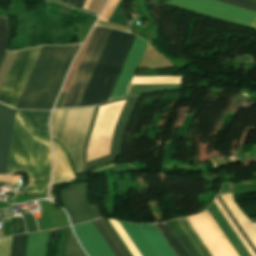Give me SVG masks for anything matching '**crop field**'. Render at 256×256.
Returning a JSON list of instances; mask_svg holds the SVG:
<instances>
[{
  "label": "crop field",
  "instance_id": "1",
  "mask_svg": "<svg viewBox=\"0 0 256 256\" xmlns=\"http://www.w3.org/2000/svg\"><path fill=\"white\" fill-rule=\"evenodd\" d=\"M134 35L111 30L78 106L105 102L128 53ZM147 43L135 37L107 101L125 96Z\"/></svg>",
  "mask_w": 256,
  "mask_h": 256
},
{
  "label": "crop field",
  "instance_id": "2",
  "mask_svg": "<svg viewBox=\"0 0 256 256\" xmlns=\"http://www.w3.org/2000/svg\"><path fill=\"white\" fill-rule=\"evenodd\" d=\"M79 45L43 46L15 108L51 110Z\"/></svg>",
  "mask_w": 256,
  "mask_h": 256
},
{
  "label": "crop field",
  "instance_id": "3",
  "mask_svg": "<svg viewBox=\"0 0 256 256\" xmlns=\"http://www.w3.org/2000/svg\"><path fill=\"white\" fill-rule=\"evenodd\" d=\"M24 170L31 183L19 194L41 193L50 178L51 150L49 140L17 113L8 174Z\"/></svg>",
  "mask_w": 256,
  "mask_h": 256
},
{
  "label": "crop field",
  "instance_id": "4",
  "mask_svg": "<svg viewBox=\"0 0 256 256\" xmlns=\"http://www.w3.org/2000/svg\"><path fill=\"white\" fill-rule=\"evenodd\" d=\"M94 107L54 109L51 118L52 137L66 149L75 172L82 170L83 146Z\"/></svg>",
  "mask_w": 256,
  "mask_h": 256
},
{
  "label": "crop field",
  "instance_id": "5",
  "mask_svg": "<svg viewBox=\"0 0 256 256\" xmlns=\"http://www.w3.org/2000/svg\"><path fill=\"white\" fill-rule=\"evenodd\" d=\"M110 30L95 27L60 108L78 105Z\"/></svg>",
  "mask_w": 256,
  "mask_h": 256
},
{
  "label": "crop field",
  "instance_id": "6",
  "mask_svg": "<svg viewBox=\"0 0 256 256\" xmlns=\"http://www.w3.org/2000/svg\"><path fill=\"white\" fill-rule=\"evenodd\" d=\"M40 48L17 52L0 90V102L15 107Z\"/></svg>",
  "mask_w": 256,
  "mask_h": 256
},
{
  "label": "crop field",
  "instance_id": "7",
  "mask_svg": "<svg viewBox=\"0 0 256 256\" xmlns=\"http://www.w3.org/2000/svg\"><path fill=\"white\" fill-rule=\"evenodd\" d=\"M167 3L254 27L256 12L214 0H169Z\"/></svg>",
  "mask_w": 256,
  "mask_h": 256
},
{
  "label": "crop field",
  "instance_id": "8",
  "mask_svg": "<svg viewBox=\"0 0 256 256\" xmlns=\"http://www.w3.org/2000/svg\"><path fill=\"white\" fill-rule=\"evenodd\" d=\"M119 223L142 256H175L154 224Z\"/></svg>",
  "mask_w": 256,
  "mask_h": 256
},
{
  "label": "crop field",
  "instance_id": "9",
  "mask_svg": "<svg viewBox=\"0 0 256 256\" xmlns=\"http://www.w3.org/2000/svg\"><path fill=\"white\" fill-rule=\"evenodd\" d=\"M140 97L141 96L111 101V102H116V101L127 100V102L124 106V109L121 113V116H120V118L117 122V125L114 129V133H113V137H112V141H111L110 155L86 162L87 146H88V142H89L91 132H92V129H93V125H94V122H95V118H96V115H97V112H98V108L101 105L108 104V103H111V102H107V103L97 105L96 110H95V114H94V117H93V120H92V123H91V127H90V130H89L87 139H86V143H85V146H84V168H83V170L86 169V168L92 167L94 165L100 164L102 162L113 160L115 157L122 155V145H123V138H124V135H125V131H126L128 122L130 120V117H131V115H132Z\"/></svg>",
  "mask_w": 256,
  "mask_h": 256
},
{
  "label": "crop field",
  "instance_id": "10",
  "mask_svg": "<svg viewBox=\"0 0 256 256\" xmlns=\"http://www.w3.org/2000/svg\"><path fill=\"white\" fill-rule=\"evenodd\" d=\"M62 193L73 224L95 219L89 207L86 184L69 187Z\"/></svg>",
  "mask_w": 256,
  "mask_h": 256
},
{
  "label": "crop field",
  "instance_id": "11",
  "mask_svg": "<svg viewBox=\"0 0 256 256\" xmlns=\"http://www.w3.org/2000/svg\"><path fill=\"white\" fill-rule=\"evenodd\" d=\"M73 228L90 256H114L91 222L76 225Z\"/></svg>",
  "mask_w": 256,
  "mask_h": 256
},
{
  "label": "crop field",
  "instance_id": "12",
  "mask_svg": "<svg viewBox=\"0 0 256 256\" xmlns=\"http://www.w3.org/2000/svg\"><path fill=\"white\" fill-rule=\"evenodd\" d=\"M15 112L0 105V173L6 174Z\"/></svg>",
  "mask_w": 256,
  "mask_h": 256
},
{
  "label": "crop field",
  "instance_id": "13",
  "mask_svg": "<svg viewBox=\"0 0 256 256\" xmlns=\"http://www.w3.org/2000/svg\"><path fill=\"white\" fill-rule=\"evenodd\" d=\"M212 204V203H211ZM210 215L213 217L217 225L220 227L224 235L227 237L233 248L236 250L239 256H250L245 247L242 245L234 231L231 229L221 212L216 205L213 204L207 209Z\"/></svg>",
  "mask_w": 256,
  "mask_h": 256
},
{
  "label": "crop field",
  "instance_id": "14",
  "mask_svg": "<svg viewBox=\"0 0 256 256\" xmlns=\"http://www.w3.org/2000/svg\"><path fill=\"white\" fill-rule=\"evenodd\" d=\"M53 149L55 159V171L52 184H55L66 181L74 177V175L71 170L67 155L62 147L57 142H53Z\"/></svg>",
  "mask_w": 256,
  "mask_h": 256
},
{
  "label": "crop field",
  "instance_id": "15",
  "mask_svg": "<svg viewBox=\"0 0 256 256\" xmlns=\"http://www.w3.org/2000/svg\"><path fill=\"white\" fill-rule=\"evenodd\" d=\"M93 224L116 256H130L105 219L93 221Z\"/></svg>",
  "mask_w": 256,
  "mask_h": 256
},
{
  "label": "crop field",
  "instance_id": "16",
  "mask_svg": "<svg viewBox=\"0 0 256 256\" xmlns=\"http://www.w3.org/2000/svg\"><path fill=\"white\" fill-rule=\"evenodd\" d=\"M48 231L29 234L26 256H45Z\"/></svg>",
  "mask_w": 256,
  "mask_h": 256
},
{
  "label": "crop field",
  "instance_id": "17",
  "mask_svg": "<svg viewBox=\"0 0 256 256\" xmlns=\"http://www.w3.org/2000/svg\"><path fill=\"white\" fill-rule=\"evenodd\" d=\"M23 113L30 123L39 131V132H49L48 128V117L50 112L42 111H24L18 110Z\"/></svg>",
  "mask_w": 256,
  "mask_h": 256
},
{
  "label": "crop field",
  "instance_id": "18",
  "mask_svg": "<svg viewBox=\"0 0 256 256\" xmlns=\"http://www.w3.org/2000/svg\"><path fill=\"white\" fill-rule=\"evenodd\" d=\"M177 222L182 227L188 238L191 240L197 251L201 256H211L207 248L204 246L200 238L197 236L191 225L188 223L186 218L178 219Z\"/></svg>",
  "mask_w": 256,
  "mask_h": 256
},
{
  "label": "crop field",
  "instance_id": "19",
  "mask_svg": "<svg viewBox=\"0 0 256 256\" xmlns=\"http://www.w3.org/2000/svg\"><path fill=\"white\" fill-rule=\"evenodd\" d=\"M160 231L166 242L169 244L176 256H188L185 250L182 248L176 237L173 235L166 223L155 224Z\"/></svg>",
  "mask_w": 256,
  "mask_h": 256
},
{
  "label": "crop field",
  "instance_id": "20",
  "mask_svg": "<svg viewBox=\"0 0 256 256\" xmlns=\"http://www.w3.org/2000/svg\"><path fill=\"white\" fill-rule=\"evenodd\" d=\"M27 237L28 234L13 237L10 256H25Z\"/></svg>",
  "mask_w": 256,
  "mask_h": 256
},
{
  "label": "crop field",
  "instance_id": "21",
  "mask_svg": "<svg viewBox=\"0 0 256 256\" xmlns=\"http://www.w3.org/2000/svg\"><path fill=\"white\" fill-rule=\"evenodd\" d=\"M64 256H86L81 250L75 236L73 235L69 227V236L67 240V245L65 249Z\"/></svg>",
  "mask_w": 256,
  "mask_h": 256
},
{
  "label": "crop field",
  "instance_id": "22",
  "mask_svg": "<svg viewBox=\"0 0 256 256\" xmlns=\"http://www.w3.org/2000/svg\"><path fill=\"white\" fill-rule=\"evenodd\" d=\"M108 22L127 26V21L123 12L122 0L119 1L116 8L112 12L111 16L108 19Z\"/></svg>",
  "mask_w": 256,
  "mask_h": 256
},
{
  "label": "crop field",
  "instance_id": "23",
  "mask_svg": "<svg viewBox=\"0 0 256 256\" xmlns=\"http://www.w3.org/2000/svg\"><path fill=\"white\" fill-rule=\"evenodd\" d=\"M239 7L256 11V0H218Z\"/></svg>",
  "mask_w": 256,
  "mask_h": 256
},
{
  "label": "crop field",
  "instance_id": "24",
  "mask_svg": "<svg viewBox=\"0 0 256 256\" xmlns=\"http://www.w3.org/2000/svg\"><path fill=\"white\" fill-rule=\"evenodd\" d=\"M218 200L220 201V203L222 204V206L225 208V210L227 211V213L229 214V216L231 217V219L233 220V222L235 223V225L238 227V229L240 230V232L242 233V235L244 236V238L246 239V241L248 242V244L251 246V248L253 249V251L256 254V248L254 247V245L252 244V242L250 241V239L248 238V236L246 235V233L243 231V229L241 228V226L239 225V223L237 222V220L235 219V217L233 216V214L231 213V211L229 210V208L226 206V204L224 203V201L222 200V198L220 197V195H218Z\"/></svg>",
  "mask_w": 256,
  "mask_h": 256
},
{
  "label": "crop field",
  "instance_id": "25",
  "mask_svg": "<svg viewBox=\"0 0 256 256\" xmlns=\"http://www.w3.org/2000/svg\"><path fill=\"white\" fill-rule=\"evenodd\" d=\"M6 36H7L6 21L4 18H0V60L4 53Z\"/></svg>",
  "mask_w": 256,
  "mask_h": 256
},
{
  "label": "crop field",
  "instance_id": "26",
  "mask_svg": "<svg viewBox=\"0 0 256 256\" xmlns=\"http://www.w3.org/2000/svg\"><path fill=\"white\" fill-rule=\"evenodd\" d=\"M12 237L0 239V256H9Z\"/></svg>",
  "mask_w": 256,
  "mask_h": 256
},
{
  "label": "crop field",
  "instance_id": "27",
  "mask_svg": "<svg viewBox=\"0 0 256 256\" xmlns=\"http://www.w3.org/2000/svg\"><path fill=\"white\" fill-rule=\"evenodd\" d=\"M25 232L23 218H12V235Z\"/></svg>",
  "mask_w": 256,
  "mask_h": 256
},
{
  "label": "crop field",
  "instance_id": "28",
  "mask_svg": "<svg viewBox=\"0 0 256 256\" xmlns=\"http://www.w3.org/2000/svg\"><path fill=\"white\" fill-rule=\"evenodd\" d=\"M179 242L182 244L186 252L189 254V256H198L197 253L194 251L190 243L187 241L185 236L178 238Z\"/></svg>",
  "mask_w": 256,
  "mask_h": 256
},
{
  "label": "crop field",
  "instance_id": "29",
  "mask_svg": "<svg viewBox=\"0 0 256 256\" xmlns=\"http://www.w3.org/2000/svg\"><path fill=\"white\" fill-rule=\"evenodd\" d=\"M28 232L37 231L32 215L24 216Z\"/></svg>",
  "mask_w": 256,
  "mask_h": 256
},
{
  "label": "crop field",
  "instance_id": "30",
  "mask_svg": "<svg viewBox=\"0 0 256 256\" xmlns=\"http://www.w3.org/2000/svg\"><path fill=\"white\" fill-rule=\"evenodd\" d=\"M19 181H20V177H11V175H9V176H0V182L12 184L14 186Z\"/></svg>",
  "mask_w": 256,
  "mask_h": 256
},
{
  "label": "crop field",
  "instance_id": "31",
  "mask_svg": "<svg viewBox=\"0 0 256 256\" xmlns=\"http://www.w3.org/2000/svg\"><path fill=\"white\" fill-rule=\"evenodd\" d=\"M85 0H68V4L82 8Z\"/></svg>",
  "mask_w": 256,
  "mask_h": 256
},
{
  "label": "crop field",
  "instance_id": "32",
  "mask_svg": "<svg viewBox=\"0 0 256 256\" xmlns=\"http://www.w3.org/2000/svg\"><path fill=\"white\" fill-rule=\"evenodd\" d=\"M90 207H91V209H92V211H93V214H94V216H95L96 219L99 218V217H101L100 214H99V212H98V210H97V206H96V205H93V206H90Z\"/></svg>",
  "mask_w": 256,
  "mask_h": 256
},
{
  "label": "crop field",
  "instance_id": "33",
  "mask_svg": "<svg viewBox=\"0 0 256 256\" xmlns=\"http://www.w3.org/2000/svg\"><path fill=\"white\" fill-rule=\"evenodd\" d=\"M38 224H39V228H40V230L45 229V228H44V224H43V221H42V220H41V221H39V222H38Z\"/></svg>",
  "mask_w": 256,
  "mask_h": 256
},
{
  "label": "crop field",
  "instance_id": "34",
  "mask_svg": "<svg viewBox=\"0 0 256 256\" xmlns=\"http://www.w3.org/2000/svg\"><path fill=\"white\" fill-rule=\"evenodd\" d=\"M56 1H59V2H61V3H64V4H65L67 0H56Z\"/></svg>",
  "mask_w": 256,
  "mask_h": 256
}]
</instances>
